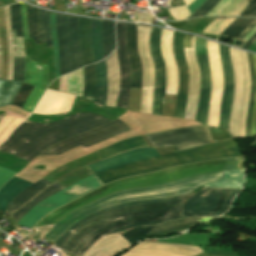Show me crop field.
Returning <instances> with one entry per match:
<instances>
[{"instance_id": "obj_38", "label": "crop field", "mask_w": 256, "mask_h": 256, "mask_svg": "<svg viewBox=\"0 0 256 256\" xmlns=\"http://www.w3.org/2000/svg\"><path fill=\"white\" fill-rule=\"evenodd\" d=\"M4 13H5V24H6V42H7V50H8V75H7V79L12 80L13 49H12V40H11V31H10L9 6L4 8Z\"/></svg>"}, {"instance_id": "obj_21", "label": "crop field", "mask_w": 256, "mask_h": 256, "mask_svg": "<svg viewBox=\"0 0 256 256\" xmlns=\"http://www.w3.org/2000/svg\"><path fill=\"white\" fill-rule=\"evenodd\" d=\"M126 43L132 72L131 88H141L142 66L137 50L136 27L134 24L127 23Z\"/></svg>"}, {"instance_id": "obj_52", "label": "crop field", "mask_w": 256, "mask_h": 256, "mask_svg": "<svg viewBox=\"0 0 256 256\" xmlns=\"http://www.w3.org/2000/svg\"><path fill=\"white\" fill-rule=\"evenodd\" d=\"M206 0H195L189 7L191 13L196 11Z\"/></svg>"}, {"instance_id": "obj_29", "label": "crop field", "mask_w": 256, "mask_h": 256, "mask_svg": "<svg viewBox=\"0 0 256 256\" xmlns=\"http://www.w3.org/2000/svg\"><path fill=\"white\" fill-rule=\"evenodd\" d=\"M97 88L95 102L105 105L107 98V68L105 59L95 64Z\"/></svg>"}, {"instance_id": "obj_40", "label": "crop field", "mask_w": 256, "mask_h": 256, "mask_svg": "<svg viewBox=\"0 0 256 256\" xmlns=\"http://www.w3.org/2000/svg\"><path fill=\"white\" fill-rule=\"evenodd\" d=\"M39 28L41 44L45 42V33L47 37V47H52L51 32L49 28V12L39 9Z\"/></svg>"}, {"instance_id": "obj_20", "label": "crop field", "mask_w": 256, "mask_h": 256, "mask_svg": "<svg viewBox=\"0 0 256 256\" xmlns=\"http://www.w3.org/2000/svg\"><path fill=\"white\" fill-rule=\"evenodd\" d=\"M153 148H139L134 149L129 152L105 159L103 161L96 162L94 164L89 165V167L95 172H99L104 169L112 168L115 166H119L122 164L143 160L155 156H159Z\"/></svg>"}, {"instance_id": "obj_47", "label": "crop field", "mask_w": 256, "mask_h": 256, "mask_svg": "<svg viewBox=\"0 0 256 256\" xmlns=\"http://www.w3.org/2000/svg\"><path fill=\"white\" fill-rule=\"evenodd\" d=\"M242 17H256V0H251L248 7L240 15Z\"/></svg>"}, {"instance_id": "obj_56", "label": "crop field", "mask_w": 256, "mask_h": 256, "mask_svg": "<svg viewBox=\"0 0 256 256\" xmlns=\"http://www.w3.org/2000/svg\"><path fill=\"white\" fill-rule=\"evenodd\" d=\"M1 61H2V55H1V48H0V75H1Z\"/></svg>"}, {"instance_id": "obj_14", "label": "crop field", "mask_w": 256, "mask_h": 256, "mask_svg": "<svg viewBox=\"0 0 256 256\" xmlns=\"http://www.w3.org/2000/svg\"><path fill=\"white\" fill-rule=\"evenodd\" d=\"M201 252L200 247L141 242L121 256H191Z\"/></svg>"}, {"instance_id": "obj_53", "label": "crop field", "mask_w": 256, "mask_h": 256, "mask_svg": "<svg viewBox=\"0 0 256 256\" xmlns=\"http://www.w3.org/2000/svg\"><path fill=\"white\" fill-rule=\"evenodd\" d=\"M47 79H48V69H47V66L43 64V81H42V87H45V88H46Z\"/></svg>"}, {"instance_id": "obj_23", "label": "crop field", "mask_w": 256, "mask_h": 256, "mask_svg": "<svg viewBox=\"0 0 256 256\" xmlns=\"http://www.w3.org/2000/svg\"><path fill=\"white\" fill-rule=\"evenodd\" d=\"M42 77V65L31 60V80L30 84L35 85L29 96L27 97L22 109L32 113L34 107L44 93L45 89L40 88Z\"/></svg>"}, {"instance_id": "obj_33", "label": "crop field", "mask_w": 256, "mask_h": 256, "mask_svg": "<svg viewBox=\"0 0 256 256\" xmlns=\"http://www.w3.org/2000/svg\"><path fill=\"white\" fill-rule=\"evenodd\" d=\"M156 30L157 28L152 27L149 47H150L151 56L155 64V86H160V67H159V62H158V58L156 56L155 47H154ZM158 97H159V87H155L154 95H153V114L155 115H157V110H158Z\"/></svg>"}, {"instance_id": "obj_48", "label": "crop field", "mask_w": 256, "mask_h": 256, "mask_svg": "<svg viewBox=\"0 0 256 256\" xmlns=\"http://www.w3.org/2000/svg\"><path fill=\"white\" fill-rule=\"evenodd\" d=\"M16 172H13L11 170L5 169L0 166V187L8 181L10 177H12Z\"/></svg>"}, {"instance_id": "obj_39", "label": "crop field", "mask_w": 256, "mask_h": 256, "mask_svg": "<svg viewBox=\"0 0 256 256\" xmlns=\"http://www.w3.org/2000/svg\"><path fill=\"white\" fill-rule=\"evenodd\" d=\"M85 72V90L83 97L90 100H94L96 79H95V70L94 64L84 67Z\"/></svg>"}, {"instance_id": "obj_16", "label": "crop field", "mask_w": 256, "mask_h": 256, "mask_svg": "<svg viewBox=\"0 0 256 256\" xmlns=\"http://www.w3.org/2000/svg\"><path fill=\"white\" fill-rule=\"evenodd\" d=\"M184 44L185 48H192L193 46V49H185L186 60L190 67V86L184 119L194 120L200 89L199 69L195 58L194 37H192L191 46V37L185 35Z\"/></svg>"}, {"instance_id": "obj_37", "label": "crop field", "mask_w": 256, "mask_h": 256, "mask_svg": "<svg viewBox=\"0 0 256 256\" xmlns=\"http://www.w3.org/2000/svg\"><path fill=\"white\" fill-rule=\"evenodd\" d=\"M250 65V73H251V92H250V100H249V109L248 116L246 121V138H251L250 135V119H251V111L254 103L255 92H256V76L254 72V67L252 63V54L247 53Z\"/></svg>"}, {"instance_id": "obj_1", "label": "crop field", "mask_w": 256, "mask_h": 256, "mask_svg": "<svg viewBox=\"0 0 256 256\" xmlns=\"http://www.w3.org/2000/svg\"><path fill=\"white\" fill-rule=\"evenodd\" d=\"M242 155L234 139L215 142L160 157L138 161L95 174L103 184L138 174L157 171L170 166L188 164L218 158ZM93 175L39 202L18 222V225L32 228L50 211L103 185Z\"/></svg>"}, {"instance_id": "obj_42", "label": "crop field", "mask_w": 256, "mask_h": 256, "mask_svg": "<svg viewBox=\"0 0 256 256\" xmlns=\"http://www.w3.org/2000/svg\"><path fill=\"white\" fill-rule=\"evenodd\" d=\"M27 21L29 27V37L35 39V43L39 44L38 28H37V9L27 5Z\"/></svg>"}, {"instance_id": "obj_43", "label": "crop field", "mask_w": 256, "mask_h": 256, "mask_svg": "<svg viewBox=\"0 0 256 256\" xmlns=\"http://www.w3.org/2000/svg\"><path fill=\"white\" fill-rule=\"evenodd\" d=\"M250 0H233L229 6L218 16L228 17V16H239L242 11L247 7Z\"/></svg>"}, {"instance_id": "obj_34", "label": "crop field", "mask_w": 256, "mask_h": 256, "mask_svg": "<svg viewBox=\"0 0 256 256\" xmlns=\"http://www.w3.org/2000/svg\"><path fill=\"white\" fill-rule=\"evenodd\" d=\"M21 82L0 79V106L11 105Z\"/></svg>"}, {"instance_id": "obj_41", "label": "crop field", "mask_w": 256, "mask_h": 256, "mask_svg": "<svg viewBox=\"0 0 256 256\" xmlns=\"http://www.w3.org/2000/svg\"><path fill=\"white\" fill-rule=\"evenodd\" d=\"M255 19L237 18L221 34L237 38V36Z\"/></svg>"}, {"instance_id": "obj_55", "label": "crop field", "mask_w": 256, "mask_h": 256, "mask_svg": "<svg viewBox=\"0 0 256 256\" xmlns=\"http://www.w3.org/2000/svg\"><path fill=\"white\" fill-rule=\"evenodd\" d=\"M255 40H256V33L242 48L247 49Z\"/></svg>"}, {"instance_id": "obj_7", "label": "crop field", "mask_w": 256, "mask_h": 256, "mask_svg": "<svg viewBox=\"0 0 256 256\" xmlns=\"http://www.w3.org/2000/svg\"><path fill=\"white\" fill-rule=\"evenodd\" d=\"M56 31L59 40L61 76L82 67L78 37V17L56 13Z\"/></svg>"}, {"instance_id": "obj_8", "label": "crop field", "mask_w": 256, "mask_h": 256, "mask_svg": "<svg viewBox=\"0 0 256 256\" xmlns=\"http://www.w3.org/2000/svg\"><path fill=\"white\" fill-rule=\"evenodd\" d=\"M240 190L202 188L186 201L181 217L202 215L216 218L228 210L232 198Z\"/></svg>"}, {"instance_id": "obj_44", "label": "crop field", "mask_w": 256, "mask_h": 256, "mask_svg": "<svg viewBox=\"0 0 256 256\" xmlns=\"http://www.w3.org/2000/svg\"><path fill=\"white\" fill-rule=\"evenodd\" d=\"M54 17H55V14L50 13V27H51L52 38H53L54 59H55V79H56L57 77L60 76V63H59L58 41L56 37Z\"/></svg>"}, {"instance_id": "obj_9", "label": "crop field", "mask_w": 256, "mask_h": 256, "mask_svg": "<svg viewBox=\"0 0 256 256\" xmlns=\"http://www.w3.org/2000/svg\"><path fill=\"white\" fill-rule=\"evenodd\" d=\"M145 136L153 147L172 145L176 151L210 143L208 138H211L206 126L180 128Z\"/></svg>"}, {"instance_id": "obj_28", "label": "crop field", "mask_w": 256, "mask_h": 256, "mask_svg": "<svg viewBox=\"0 0 256 256\" xmlns=\"http://www.w3.org/2000/svg\"><path fill=\"white\" fill-rule=\"evenodd\" d=\"M89 23L90 19L79 17V37L81 44L83 66L93 62Z\"/></svg>"}, {"instance_id": "obj_12", "label": "crop field", "mask_w": 256, "mask_h": 256, "mask_svg": "<svg viewBox=\"0 0 256 256\" xmlns=\"http://www.w3.org/2000/svg\"><path fill=\"white\" fill-rule=\"evenodd\" d=\"M198 224L200 223L194 218L187 217L183 219L167 221L155 226L135 227L121 235L130 243V245H133L134 243L142 240L144 237H164L181 232Z\"/></svg>"}, {"instance_id": "obj_32", "label": "crop field", "mask_w": 256, "mask_h": 256, "mask_svg": "<svg viewBox=\"0 0 256 256\" xmlns=\"http://www.w3.org/2000/svg\"><path fill=\"white\" fill-rule=\"evenodd\" d=\"M91 38L94 60L100 61L105 58L102 44L101 20L91 19Z\"/></svg>"}, {"instance_id": "obj_17", "label": "crop field", "mask_w": 256, "mask_h": 256, "mask_svg": "<svg viewBox=\"0 0 256 256\" xmlns=\"http://www.w3.org/2000/svg\"><path fill=\"white\" fill-rule=\"evenodd\" d=\"M219 47L224 75V94L221 100L219 127L228 129V121L230 116L231 101L233 95V72L229 57V47L220 44Z\"/></svg>"}, {"instance_id": "obj_6", "label": "crop field", "mask_w": 256, "mask_h": 256, "mask_svg": "<svg viewBox=\"0 0 256 256\" xmlns=\"http://www.w3.org/2000/svg\"><path fill=\"white\" fill-rule=\"evenodd\" d=\"M230 57L234 71V96L229 122L233 137L245 138V121L250 92V74L246 52L231 49Z\"/></svg>"}, {"instance_id": "obj_26", "label": "crop field", "mask_w": 256, "mask_h": 256, "mask_svg": "<svg viewBox=\"0 0 256 256\" xmlns=\"http://www.w3.org/2000/svg\"><path fill=\"white\" fill-rule=\"evenodd\" d=\"M148 146L147 143L142 139L141 136H135L130 139L119 141L113 145L105 147L100 150L101 157L107 158L114 154L122 153L137 147Z\"/></svg>"}, {"instance_id": "obj_25", "label": "crop field", "mask_w": 256, "mask_h": 256, "mask_svg": "<svg viewBox=\"0 0 256 256\" xmlns=\"http://www.w3.org/2000/svg\"><path fill=\"white\" fill-rule=\"evenodd\" d=\"M32 183L14 177L0 190V211L4 212L10 201Z\"/></svg>"}, {"instance_id": "obj_36", "label": "crop field", "mask_w": 256, "mask_h": 256, "mask_svg": "<svg viewBox=\"0 0 256 256\" xmlns=\"http://www.w3.org/2000/svg\"><path fill=\"white\" fill-rule=\"evenodd\" d=\"M160 32H161V29L158 28L157 36H156V43H155L156 53H157V56L159 58L160 66H161V88H160L158 115H162L164 92H165V83H166L165 64H164V61L162 59V55H161V52H160Z\"/></svg>"}, {"instance_id": "obj_15", "label": "crop field", "mask_w": 256, "mask_h": 256, "mask_svg": "<svg viewBox=\"0 0 256 256\" xmlns=\"http://www.w3.org/2000/svg\"><path fill=\"white\" fill-rule=\"evenodd\" d=\"M183 37L173 36V54L179 70V88L174 117L181 119L184 117L189 85V68L184 57Z\"/></svg>"}, {"instance_id": "obj_2", "label": "crop field", "mask_w": 256, "mask_h": 256, "mask_svg": "<svg viewBox=\"0 0 256 256\" xmlns=\"http://www.w3.org/2000/svg\"><path fill=\"white\" fill-rule=\"evenodd\" d=\"M193 194L107 209L74 224L54 246L77 256L83 255L96 240L107 234L180 218L184 202Z\"/></svg>"}, {"instance_id": "obj_13", "label": "crop field", "mask_w": 256, "mask_h": 256, "mask_svg": "<svg viewBox=\"0 0 256 256\" xmlns=\"http://www.w3.org/2000/svg\"><path fill=\"white\" fill-rule=\"evenodd\" d=\"M125 24L116 22L117 55L120 67V91L116 107L127 108L130 87V64L125 43Z\"/></svg>"}, {"instance_id": "obj_46", "label": "crop field", "mask_w": 256, "mask_h": 256, "mask_svg": "<svg viewBox=\"0 0 256 256\" xmlns=\"http://www.w3.org/2000/svg\"><path fill=\"white\" fill-rule=\"evenodd\" d=\"M219 0H207L196 12H194L189 18L199 17L205 15L212 7H214Z\"/></svg>"}, {"instance_id": "obj_45", "label": "crop field", "mask_w": 256, "mask_h": 256, "mask_svg": "<svg viewBox=\"0 0 256 256\" xmlns=\"http://www.w3.org/2000/svg\"><path fill=\"white\" fill-rule=\"evenodd\" d=\"M32 88H33L32 85H27L22 82L21 88L12 104L22 107L26 97L28 96Z\"/></svg>"}, {"instance_id": "obj_22", "label": "crop field", "mask_w": 256, "mask_h": 256, "mask_svg": "<svg viewBox=\"0 0 256 256\" xmlns=\"http://www.w3.org/2000/svg\"><path fill=\"white\" fill-rule=\"evenodd\" d=\"M130 247L119 233L107 235L95 243V245L84 256H113Z\"/></svg>"}, {"instance_id": "obj_49", "label": "crop field", "mask_w": 256, "mask_h": 256, "mask_svg": "<svg viewBox=\"0 0 256 256\" xmlns=\"http://www.w3.org/2000/svg\"><path fill=\"white\" fill-rule=\"evenodd\" d=\"M254 57V65H255V71H256V55L253 54ZM251 133L252 135H256V99L255 104L253 107V113H252V123H251ZM255 136H252V138Z\"/></svg>"}, {"instance_id": "obj_35", "label": "crop field", "mask_w": 256, "mask_h": 256, "mask_svg": "<svg viewBox=\"0 0 256 256\" xmlns=\"http://www.w3.org/2000/svg\"><path fill=\"white\" fill-rule=\"evenodd\" d=\"M102 33L105 55L108 56L115 47L114 22L102 20Z\"/></svg>"}, {"instance_id": "obj_50", "label": "crop field", "mask_w": 256, "mask_h": 256, "mask_svg": "<svg viewBox=\"0 0 256 256\" xmlns=\"http://www.w3.org/2000/svg\"><path fill=\"white\" fill-rule=\"evenodd\" d=\"M21 14H22V23L24 30V39L28 38L27 34V21H26V5L21 3Z\"/></svg>"}, {"instance_id": "obj_11", "label": "crop field", "mask_w": 256, "mask_h": 256, "mask_svg": "<svg viewBox=\"0 0 256 256\" xmlns=\"http://www.w3.org/2000/svg\"><path fill=\"white\" fill-rule=\"evenodd\" d=\"M149 27L138 26V46L144 67L143 95L140 112L152 114V95L154 86V64L149 54Z\"/></svg>"}, {"instance_id": "obj_27", "label": "crop field", "mask_w": 256, "mask_h": 256, "mask_svg": "<svg viewBox=\"0 0 256 256\" xmlns=\"http://www.w3.org/2000/svg\"><path fill=\"white\" fill-rule=\"evenodd\" d=\"M49 184L48 181L45 179H40L37 182H35L33 185L27 187L22 192H20L9 204L5 212L16 210L19 206H21L24 202L31 199L33 196H35L37 193H39L41 190H43L45 187H47Z\"/></svg>"}, {"instance_id": "obj_54", "label": "crop field", "mask_w": 256, "mask_h": 256, "mask_svg": "<svg viewBox=\"0 0 256 256\" xmlns=\"http://www.w3.org/2000/svg\"><path fill=\"white\" fill-rule=\"evenodd\" d=\"M256 25V20L250 24L243 32L242 34L238 37L239 39H242L254 26Z\"/></svg>"}, {"instance_id": "obj_24", "label": "crop field", "mask_w": 256, "mask_h": 256, "mask_svg": "<svg viewBox=\"0 0 256 256\" xmlns=\"http://www.w3.org/2000/svg\"><path fill=\"white\" fill-rule=\"evenodd\" d=\"M106 62L108 68V98L106 105L115 107L119 81V68L115 51L106 58Z\"/></svg>"}, {"instance_id": "obj_10", "label": "crop field", "mask_w": 256, "mask_h": 256, "mask_svg": "<svg viewBox=\"0 0 256 256\" xmlns=\"http://www.w3.org/2000/svg\"><path fill=\"white\" fill-rule=\"evenodd\" d=\"M128 130L130 129L121 120L116 119L102 128L83 133L56 144L39 155H60L76 146L83 145L87 147L102 140L120 135Z\"/></svg>"}, {"instance_id": "obj_31", "label": "crop field", "mask_w": 256, "mask_h": 256, "mask_svg": "<svg viewBox=\"0 0 256 256\" xmlns=\"http://www.w3.org/2000/svg\"><path fill=\"white\" fill-rule=\"evenodd\" d=\"M64 189L56 182L44 189L42 192H40L36 197L29 200L24 206H22L20 209H18L14 214V218L18 222V220L26 213L28 212L34 205H36L39 201L47 198L48 196Z\"/></svg>"}, {"instance_id": "obj_51", "label": "crop field", "mask_w": 256, "mask_h": 256, "mask_svg": "<svg viewBox=\"0 0 256 256\" xmlns=\"http://www.w3.org/2000/svg\"><path fill=\"white\" fill-rule=\"evenodd\" d=\"M30 79V57L26 56L25 83L29 84Z\"/></svg>"}, {"instance_id": "obj_57", "label": "crop field", "mask_w": 256, "mask_h": 256, "mask_svg": "<svg viewBox=\"0 0 256 256\" xmlns=\"http://www.w3.org/2000/svg\"><path fill=\"white\" fill-rule=\"evenodd\" d=\"M254 43L256 44V41Z\"/></svg>"}, {"instance_id": "obj_18", "label": "crop field", "mask_w": 256, "mask_h": 256, "mask_svg": "<svg viewBox=\"0 0 256 256\" xmlns=\"http://www.w3.org/2000/svg\"><path fill=\"white\" fill-rule=\"evenodd\" d=\"M11 12V24L18 23L19 29V39H20V57H19V39H18V29L17 24L11 25L13 47H14V76L13 80L24 82V66H25V52L23 44V31L20 15V3L10 6Z\"/></svg>"}, {"instance_id": "obj_5", "label": "crop field", "mask_w": 256, "mask_h": 256, "mask_svg": "<svg viewBox=\"0 0 256 256\" xmlns=\"http://www.w3.org/2000/svg\"><path fill=\"white\" fill-rule=\"evenodd\" d=\"M243 168V158H229L218 159L188 165H182L171 169L140 175L132 178L116 181L114 183L105 185L96 189L64 206L46 215L35 227L56 224L57 221L67 213L112 192L152 186L156 184L166 183L187 177L197 173L211 172V171H227L239 170Z\"/></svg>"}, {"instance_id": "obj_30", "label": "crop field", "mask_w": 256, "mask_h": 256, "mask_svg": "<svg viewBox=\"0 0 256 256\" xmlns=\"http://www.w3.org/2000/svg\"><path fill=\"white\" fill-rule=\"evenodd\" d=\"M244 170L225 172L222 179L209 183L205 186L219 188H242Z\"/></svg>"}, {"instance_id": "obj_4", "label": "crop field", "mask_w": 256, "mask_h": 256, "mask_svg": "<svg viewBox=\"0 0 256 256\" xmlns=\"http://www.w3.org/2000/svg\"><path fill=\"white\" fill-rule=\"evenodd\" d=\"M222 174L223 172L197 174L166 184L112 193L64 216L43 237L56 242L75 222L87 216L119 204L188 194L202 185L219 180Z\"/></svg>"}, {"instance_id": "obj_3", "label": "crop field", "mask_w": 256, "mask_h": 256, "mask_svg": "<svg viewBox=\"0 0 256 256\" xmlns=\"http://www.w3.org/2000/svg\"><path fill=\"white\" fill-rule=\"evenodd\" d=\"M111 120L93 113H75L48 124L25 121L0 146L1 151L30 162L42 150L74 135L106 125Z\"/></svg>"}, {"instance_id": "obj_19", "label": "crop field", "mask_w": 256, "mask_h": 256, "mask_svg": "<svg viewBox=\"0 0 256 256\" xmlns=\"http://www.w3.org/2000/svg\"><path fill=\"white\" fill-rule=\"evenodd\" d=\"M197 61L201 72V89L195 120L206 125L211 91L210 70L207 56H197Z\"/></svg>"}]
</instances>
